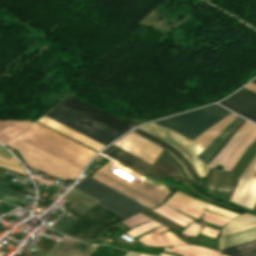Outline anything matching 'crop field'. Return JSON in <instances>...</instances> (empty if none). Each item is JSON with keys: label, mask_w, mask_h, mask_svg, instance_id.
I'll return each mask as SVG.
<instances>
[{"label": "crop field", "mask_w": 256, "mask_h": 256, "mask_svg": "<svg viewBox=\"0 0 256 256\" xmlns=\"http://www.w3.org/2000/svg\"><path fill=\"white\" fill-rule=\"evenodd\" d=\"M17 137L81 170L96 153L36 122Z\"/></svg>", "instance_id": "8a807250"}, {"label": "crop field", "mask_w": 256, "mask_h": 256, "mask_svg": "<svg viewBox=\"0 0 256 256\" xmlns=\"http://www.w3.org/2000/svg\"><path fill=\"white\" fill-rule=\"evenodd\" d=\"M45 116L104 145L122 134L62 103L52 108Z\"/></svg>", "instance_id": "ac0d7876"}, {"label": "crop field", "mask_w": 256, "mask_h": 256, "mask_svg": "<svg viewBox=\"0 0 256 256\" xmlns=\"http://www.w3.org/2000/svg\"><path fill=\"white\" fill-rule=\"evenodd\" d=\"M228 113V110L219 105H211L154 123L166 126L193 140Z\"/></svg>", "instance_id": "34b2d1b8"}, {"label": "crop field", "mask_w": 256, "mask_h": 256, "mask_svg": "<svg viewBox=\"0 0 256 256\" xmlns=\"http://www.w3.org/2000/svg\"><path fill=\"white\" fill-rule=\"evenodd\" d=\"M73 188L98 200L97 204L127 218L137 212L149 209L148 207L132 200L131 198L111 189L110 187L94 180L84 178Z\"/></svg>", "instance_id": "412701ff"}, {"label": "crop field", "mask_w": 256, "mask_h": 256, "mask_svg": "<svg viewBox=\"0 0 256 256\" xmlns=\"http://www.w3.org/2000/svg\"><path fill=\"white\" fill-rule=\"evenodd\" d=\"M8 145L18 149L28 166L57 178L78 177L81 170L15 138Z\"/></svg>", "instance_id": "f4fd0767"}, {"label": "crop field", "mask_w": 256, "mask_h": 256, "mask_svg": "<svg viewBox=\"0 0 256 256\" xmlns=\"http://www.w3.org/2000/svg\"><path fill=\"white\" fill-rule=\"evenodd\" d=\"M67 211L80 218L64 234L80 236L87 239L95 237L110 225L125 219L99 205L93 206L83 215L68 207Z\"/></svg>", "instance_id": "dd49c442"}, {"label": "crop field", "mask_w": 256, "mask_h": 256, "mask_svg": "<svg viewBox=\"0 0 256 256\" xmlns=\"http://www.w3.org/2000/svg\"><path fill=\"white\" fill-rule=\"evenodd\" d=\"M140 128L174 146L188 159L199 178L205 177L210 167L197 157L205 147L163 126L149 123Z\"/></svg>", "instance_id": "e52e79f7"}, {"label": "crop field", "mask_w": 256, "mask_h": 256, "mask_svg": "<svg viewBox=\"0 0 256 256\" xmlns=\"http://www.w3.org/2000/svg\"><path fill=\"white\" fill-rule=\"evenodd\" d=\"M165 204L172 206L176 209H179L195 218H198L202 212H205L204 215L202 216V219L220 225L222 226L224 223L228 222L230 219L208 212V211H204L201 210L197 207H194L192 205H189L185 202H182L180 200H177L173 197H171L170 199H168L163 205H161L158 208L152 209L153 211L161 214L162 216L172 220L173 222L185 227L190 221H192V219L178 213L177 211L167 207Z\"/></svg>", "instance_id": "d8731c3e"}, {"label": "crop field", "mask_w": 256, "mask_h": 256, "mask_svg": "<svg viewBox=\"0 0 256 256\" xmlns=\"http://www.w3.org/2000/svg\"><path fill=\"white\" fill-rule=\"evenodd\" d=\"M73 96L66 99L65 101H63V103L115 128L123 133L138 125L130 119L120 120V119H118V118L84 102V101L77 99L78 97L75 98L76 96L75 97H73Z\"/></svg>", "instance_id": "5a996713"}, {"label": "crop field", "mask_w": 256, "mask_h": 256, "mask_svg": "<svg viewBox=\"0 0 256 256\" xmlns=\"http://www.w3.org/2000/svg\"><path fill=\"white\" fill-rule=\"evenodd\" d=\"M256 157L240 176L237 187L231 196V201L253 208L256 202Z\"/></svg>", "instance_id": "3316defc"}, {"label": "crop field", "mask_w": 256, "mask_h": 256, "mask_svg": "<svg viewBox=\"0 0 256 256\" xmlns=\"http://www.w3.org/2000/svg\"><path fill=\"white\" fill-rule=\"evenodd\" d=\"M127 135V134H126ZM126 151L138 156L139 158L149 162L155 160L162 148L130 133L119 141L113 143Z\"/></svg>", "instance_id": "28ad6ade"}, {"label": "crop field", "mask_w": 256, "mask_h": 256, "mask_svg": "<svg viewBox=\"0 0 256 256\" xmlns=\"http://www.w3.org/2000/svg\"><path fill=\"white\" fill-rule=\"evenodd\" d=\"M88 243L65 237L60 244L55 243L45 256H91L98 245L91 244L84 252Z\"/></svg>", "instance_id": "d1516ede"}, {"label": "crop field", "mask_w": 256, "mask_h": 256, "mask_svg": "<svg viewBox=\"0 0 256 256\" xmlns=\"http://www.w3.org/2000/svg\"><path fill=\"white\" fill-rule=\"evenodd\" d=\"M256 128V125L246 121L230 138L226 145L208 164L215 168L218 164L224 166L237 146Z\"/></svg>", "instance_id": "22f410ed"}, {"label": "crop field", "mask_w": 256, "mask_h": 256, "mask_svg": "<svg viewBox=\"0 0 256 256\" xmlns=\"http://www.w3.org/2000/svg\"><path fill=\"white\" fill-rule=\"evenodd\" d=\"M109 178H111L112 180L128 187L129 189L143 195L144 197L156 202V203H160L164 197L169 193V190L167 188H163V189H157V190H151V191H147L135 184H133L132 182L118 176L117 174L105 169V168H101L99 171H97Z\"/></svg>", "instance_id": "cbeb9de0"}, {"label": "crop field", "mask_w": 256, "mask_h": 256, "mask_svg": "<svg viewBox=\"0 0 256 256\" xmlns=\"http://www.w3.org/2000/svg\"><path fill=\"white\" fill-rule=\"evenodd\" d=\"M133 132L159 144L160 146L166 148L176 159H178L181 163V165L183 166L184 170L186 171L188 177L193 180L196 181L199 185H201L202 180H199V178L197 177V175L194 173V171L192 170L189 162L187 161L186 158H184L180 153H178L176 151V149L174 147H172L171 145L161 141L160 139L154 137L153 135L137 128L135 130H133Z\"/></svg>", "instance_id": "5142ce71"}, {"label": "crop field", "mask_w": 256, "mask_h": 256, "mask_svg": "<svg viewBox=\"0 0 256 256\" xmlns=\"http://www.w3.org/2000/svg\"><path fill=\"white\" fill-rule=\"evenodd\" d=\"M167 228L161 226L148 234L140 237L138 240L141 242L152 245V246H165V245H174V244H183L185 242L179 240L172 233L166 232L159 235L160 232L166 230Z\"/></svg>", "instance_id": "d9b57169"}, {"label": "crop field", "mask_w": 256, "mask_h": 256, "mask_svg": "<svg viewBox=\"0 0 256 256\" xmlns=\"http://www.w3.org/2000/svg\"><path fill=\"white\" fill-rule=\"evenodd\" d=\"M102 153L142 172V173H146V171L149 169V167L151 165L131 156L130 154L114 147V146H110L108 147L105 151H103Z\"/></svg>", "instance_id": "733c2abd"}, {"label": "crop field", "mask_w": 256, "mask_h": 256, "mask_svg": "<svg viewBox=\"0 0 256 256\" xmlns=\"http://www.w3.org/2000/svg\"><path fill=\"white\" fill-rule=\"evenodd\" d=\"M233 175L234 173L215 169L212 180L208 185V188L211 189L210 193L225 198L232 183Z\"/></svg>", "instance_id": "4a817a6b"}, {"label": "crop field", "mask_w": 256, "mask_h": 256, "mask_svg": "<svg viewBox=\"0 0 256 256\" xmlns=\"http://www.w3.org/2000/svg\"><path fill=\"white\" fill-rule=\"evenodd\" d=\"M30 124H32V122L28 120H0V142L5 144Z\"/></svg>", "instance_id": "bc2a9ffb"}, {"label": "crop field", "mask_w": 256, "mask_h": 256, "mask_svg": "<svg viewBox=\"0 0 256 256\" xmlns=\"http://www.w3.org/2000/svg\"><path fill=\"white\" fill-rule=\"evenodd\" d=\"M38 121L60 131V132L66 134V135H68V136H70V137H72V138L98 150V151L104 147V145H101V144H99V143H97V142H95V141H93V140H91V139H89V138L45 117V116L41 117Z\"/></svg>", "instance_id": "214f88e0"}, {"label": "crop field", "mask_w": 256, "mask_h": 256, "mask_svg": "<svg viewBox=\"0 0 256 256\" xmlns=\"http://www.w3.org/2000/svg\"><path fill=\"white\" fill-rule=\"evenodd\" d=\"M92 178H94V179H96V180H98V181H100V182L110 186L111 188H113V189H115V190H117V191H119V192H121V193H123V194H125V195H127L129 197H131L132 199H134V200H136V201H138V202H140V203H142V204H144V205H146V206H148L150 208L158 205V204H156V203H154V202L144 198L143 196H141V195H139V194H137V193L127 189L126 187H124V186H122V185L112 181L111 179H109V178H107V177H105V176H103V175H101V174H99L97 172L94 174V176Z\"/></svg>", "instance_id": "92a150f3"}, {"label": "crop field", "mask_w": 256, "mask_h": 256, "mask_svg": "<svg viewBox=\"0 0 256 256\" xmlns=\"http://www.w3.org/2000/svg\"><path fill=\"white\" fill-rule=\"evenodd\" d=\"M164 250L174 254H179L182 256H220L219 252L217 251H213L207 248L194 246V245L173 246L172 249L166 247ZM161 256H170V255L161 253Z\"/></svg>", "instance_id": "dafd665d"}, {"label": "crop field", "mask_w": 256, "mask_h": 256, "mask_svg": "<svg viewBox=\"0 0 256 256\" xmlns=\"http://www.w3.org/2000/svg\"><path fill=\"white\" fill-rule=\"evenodd\" d=\"M86 195L72 188L63 197L74 202L69 207L83 214L98 202Z\"/></svg>", "instance_id": "00972430"}, {"label": "crop field", "mask_w": 256, "mask_h": 256, "mask_svg": "<svg viewBox=\"0 0 256 256\" xmlns=\"http://www.w3.org/2000/svg\"><path fill=\"white\" fill-rule=\"evenodd\" d=\"M236 117V115L230 113L206 132L197 137L194 141L208 146L212 140Z\"/></svg>", "instance_id": "a9b5d70f"}, {"label": "crop field", "mask_w": 256, "mask_h": 256, "mask_svg": "<svg viewBox=\"0 0 256 256\" xmlns=\"http://www.w3.org/2000/svg\"><path fill=\"white\" fill-rule=\"evenodd\" d=\"M256 238V227L220 237V249Z\"/></svg>", "instance_id": "4177f3b9"}, {"label": "crop field", "mask_w": 256, "mask_h": 256, "mask_svg": "<svg viewBox=\"0 0 256 256\" xmlns=\"http://www.w3.org/2000/svg\"><path fill=\"white\" fill-rule=\"evenodd\" d=\"M256 225V216L242 214L222 227L221 236Z\"/></svg>", "instance_id": "730fd06b"}, {"label": "crop field", "mask_w": 256, "mask_h": 256, "mask_svg": "<svg viewBox=\"0 0 256 256\" xmlns=\"http://www.w3.org/2000/svg\"><path fill=\"white\" fill-rule=\"evenodd\" d=\"M241 120L242 118L237 116L198 157L205 162Z\"/></svg>", "instance_id": "eef30255"}, {"label": "crop field", "mask_w": 256, "mask_h": 256, "mask_svg": "<svg viewBox=\"0 0 256 256\" xmlns=\"http://www.w3.org/2000/svg\"><path fill=\"white\" fill-rule=\"evenodd\" d=\"M173 197L177 198V199H180L182 201H185L189 204H192L194 206H197L201 209L205 208V209H208V210H211V211H214V212H217L219 214H222V215H225V216H228V217H235L237 216L238 214H235V213H232V212H229V211H226V210H223L221 208H218V207H215L213 205H210V204H207V203H204V202H201L199 200H196V199H193L179 191H177Z\"/></svg>", "instance_id": "ae1a2a85"}, {"label": "crop field", "mask_w": 256, "mask_h": 256, "mask_svg": "<svg viewBox=\"0 0 256 256\" xmlns=\"http://www.w3.org/2000/svg\"><path fill=\"white\" fill-rule=\"evenodd\" d=\"M225 100L256 115V100L239 91Z\"/></svg>", "instance_id": "d3111659"}, {"label": "crop field", "mask_w": 256, "mask_h": 256, "mask_svg": "<svg viewBox=\"0 0 256 256\" xmlns=\"http://www.w3.org/2000/svg\"><path fill=\"white\" fill-rule=\"evenodd\" d=\"M256 139V129L238 146L232 154L228 162L225 164L224 169L231 170L246 148Z\"/></svg>", "instance_id": "750c4746"}, {"label": "crop field", "mask_w": 256, "mask_h": 256, "mask_svg": "<svg viewBox=\"0 0 256 256\" xmlns=\"http://www.w3.org/2000/svg\"><path fill=\"white\" fill-rule=\"evenodd\" d=\"M254 250H256V239L249 242L242 243V244H238L235 246H231L225 249H221L220 252L231 255V256H239L241 254L245 256L244 253L254 251ZM247 256H256V253L247 255Z\"/></svg>", "instance_id": "bd1437ed"}, {"label": "crop field", "mask_w": 256, "mask_h": 256, "mask_svg": "<svg viewBox=\"0 0 256 256\" xmlns=\"http://www.w3.org/2000/svg\"><path fill=\"white\" fill-rule=\"evenodd\" d=\"M156 164L159 165L162 169H164L172 177L174 181L184 180V177L178 171L173 162L169 158H167L163 153L160 155Z\"/></svg>", "instance_id": "1d83c4d3"}, {"label": "crop field", "mask_w": 256, "mask_h": 256, "mask_svg": "<svg viewBox=\"0 0 256 256\" xmlns=\"http://www.w3.org/2000/svg\"><path fill=\"white\" fill-rule=\"evenodd\" d=\"M6 186L7 184L0 182V198L1 199L10 201L17 205L25 198V195L9 190L5 188Z\"/></svg>", "instance_id": "120bbe31"}, {"label": "crop field", "mask_w": 256, "mask_h": 256, "mask_svg": "<svg viewBox=\"0 0 256 256\" xmlns=\"http://www.w3.org/2000/svg\"><path fill=\"white\" fill-rule=\"evenodd\" d=\"M0 166L4 167V168H7L9 170L27 175L18 162L7 159V158H4V157H1V156H0Z\"/></svg>", "instance_id": "d32e631a"}, {"label": "crop field", "mask_w": 256, "mask_h": 256, "mask_svg": "<svg viewBox=\"0 0 256 256\" xmlns=\"http://www.w3.org/2000/svg\"><path fill=\"white\" fill-rule=\"evenodd\" d=\"M158 225H160V224L157 223V222H155V221H153V220H151V221H149V222H147V223H144V224H142V225H140V226H138V227H135V228L129 230V231L126 232V233H127L129 236L134 237V236H136V235H138V234H140V233H143V232H145V231H147V230H149V229H151V228H154V227H156V226H158Z\"/></svg>", "instance_id": "5866460e"}, {"label": "crop field", "mask_w": 256, "mask_h": 256, "mask_svg": "<svg viewBox=\"0 0 256 256\" xmlns=\"http://www.w3.org/2000/svg\"><path fill=\"white\" fill-rule=\"evenodd\" d=\"M190 243L202 244L218 250L217 241L203 236V239L190 238Z\"/></svg>", "instance_id": "028f5c9d"}, {"label": "crop field", "mask_w": 256, "mask_h": 256, "mask_svg": "<svg viewBox=\"0 0 256 256\" xmlns=\"http://www.w3.org/2000/svg\"><path fill=\"white\" fill-rule=\"evenodd\" d=\"M148 220H151V219H149V218H147V217H145V216H143L141 214H138V215H136V216H134V217H132V218L122 222V223H124L128 227L132 228V227H134V226H136V225H138L140 223L146 222Z\"/></svg>", "instance_id": "e1f06a70"}, {"label": "crop field", "mask_w": 256, "mask_h": 256, "mask_svg": "<svg viewBox=\"0 0 256 256\" xmlns=\"http://www.w3.org/2000/svg\"><path fill=\"white\" fill-rule=\"evenodd\" d=\"M219 103L228 107V108H230V109H232V110H234V111H236V112H238V113H240V114H242V115H244V116H246V117H248V118H250V119H252V120H254V121H256V116H254V115H252V114H250V113H248V112H246V111H244V110H242V109H240V108H238V107H236V106H234V105H232V104H230V103H228L224 100L219 102Z\"/></svg>", "instance_id": "0bd39190"}, {"label": "crop field", "mask_w": 256, "mask_h": 256, "mask_svg": "<svg viewBox=\"0 0 256 256\" xmlns=\"http://www.w3.org/2000/svg\"><path fill=\"white\" fill-rule=\"evenodd\" d=\"M200 228H201L200 225H198V224L193 222L183 232H181V234L190 235V236H196L198 234Z\"/></svg>", "instance_id": "b80d0937"}, {"label": "crop field", "mask_w": 256, "mask_h": 256, "mask_svg": "<svg viewBox=\"0 0 256 256\" xmlns=\"http://www.w3.org/2000/svg\"><path fill=\"white\" fill-rule=\"evenodd\" d=\"M201 233H203V234H205V235H207L209 237L216 238L218 231L215 230V229H212V228H209V227L205 226L202 229Z\"/></svg>", "instance_id": "c035e120"}, {"label": "crop field", "mask_w": 256, "mask_h": 256, "mask_svg": "<svg viewBox=\"0 0 256 256\" xmlns=\"http://www.w3.org/2000/svg\"><path fill=\"white\" fill-rule=\"evenodd\" d=\"M0 155L10 158L12 155L0 145Z\"/></svg>", "instance_id": "c21b1889"}, {"label": "crop field", "mask_w": 256, "mask_h": 256, "mask_svg": "<svg viewBox=\"0 0 256 256\" xmlns=\"http://www.w3.org/2000/svg\"><path fill=\"white\" fill-rule=\"evenodd\" d=\"M244 88L256 93V85L251 82L248 83Z\"/></svg>", "instance_id": "03da06ac"}, {"label": "crop field", "mask_w": 256, "mask_h": 256, "mask_svg": "<svg viewBox=\"0 0 256 256\" xmlns=\"http://www.w3.org/2000/svg\"><path fill=\"white\" fill-rule=\"evenodd\" d=\"M240 91H242V92H244V93H246V94H248V95H250V96L256 98V94H254V93H252V92H250V91H248V90H246V89H244V88L241 89Z\"/></svg>", "instance_id": "b54c1fbb"}, {"label": "crop field", "mask_w": 256, "mask_h": 256, "mask_svg": "<svg viewBox=\"0 0 256 256\" xmlns=\"http://www.w3.org/2000/svg\"><path fill=\"white\" fill-rule=\"evenodd\" d=\"M137 255H138L137 253L128 252L126 256H137Z\"/></svg>", "instance_id": "5d738f31"}, {"label": "crop field", "mask_w": 256, "mask_h": 256, "mask_svg": "<svg viewBox=\"0 0 256 256\" xmlns=\"http://www.w3.org/2000/svg\"><path fill=\"white\" fill-rule=\"evenodd\" d=\"M251 82H253V83H255V84H256V79H255V80H253V81H251Z\"/></svg>", "instance_id": "d23c7cc5"}, {"label": "crop field", "mask_w": 256, "mask_h": 256, "mask_svg": "<svg viewBox=\"0 0 256 256\" xmlns=\"http://www.w3.org/2000/svg\"><path fill=\"white\" fill-rule=\"evenodd\" d=\"M139 256H148V255L140 254Z\"/></svg>", "instance_id": "425ffa30"}, {"label": "crop field", "mask_w": 256, "mask_h": 256, "mask_svg": "<svg viewBox=\"0 0 256 256\" xmlns=\"http://www.w3.org/2000/svg\"><path fill=\"white\" fill-rule=\"evenodd\" d=\"M223 256H228V255H225V254H222Z\"/></svg>", "instance_id": "25e5ab78"}, {"label": "crop field", "mask_w": 256, "mask_h": 256, "mask_svg": "<svg viewBox=\"0 0 256 256\" xmlns=\"http://www.w3.org/2000/svg\"><path fill=\"white\" fill-rule=\"evenodd\" d=\"M254 209H256V205H255Z\"/></svg>", "instance_id": "73cf0c24"}, {"label": "crop field", "mask_w": 256, "mask_h": 256, "mask_svg": "<svg viewBox=\"0 0 256 256\" xmlns=\"http://www.w3.org/2000/svg\"><path fill=\"white\" fill-rule=\"evenodd\" d=\"M255 176H256V174H255Z\"/></svg>", "instance_id": "89e229c0"}]
</instances>
